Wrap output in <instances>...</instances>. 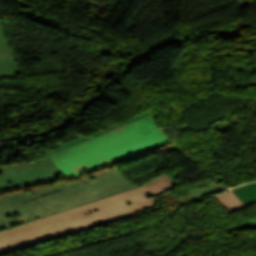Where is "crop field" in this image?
Masks as SVG:
<instances>
[{
  "mask_svg": "<svg viewBox=\"0 0 256 256\" xmlns=\"http://www.w3.org/2000/svg\"><path fill=\"white\" fill-rule=\"evenodd\" d=\"M175 184L164 174L140 187L0 231V255L148 209L158 204L150 195L171 190Z\"/></svg>",
  "mask_w": 256,
  "mask_h": 256,
  "instance_id": "1",
  "label": "crop field"
},
{
  "mask_svg": "<svg viewBox=\"0 0 256 256\" xmlns=\"http://www.w3.org/2000/svg\"><path fill=\"white\" fill-rule=\"evenodd\" d=\"M171 142L151 114L83 142L61 149L47 158L67 180L99 171Z\"/></svg>",
  "mask_w": 256,
  "mask_h": 256,
  "instance_id": "2",
  "label": "crop field"
},
{
  "mask_svg": "<svg viewBox=\"0 0 256 256\" xmlns=\"http://www.w3.org/2000/svg\"><path fill=\"white\" fill-rule=\"evenodd\" d=\"M136 187L117 167L70 183L0 196V230Z\"/></svg>",
  "mask_w": 256,
  "mask_h": 256,
  "instance_id": "3",
  "label": "crop field"
},
{
  "mask_svg": "<svg viewBox=\"0 0 256 256\" xmlns=\"http://www.w3.org/2000/svg\"><path fill=\"white\" fill-rule=\"evenodd\" d=\"M60 174L43 155L35 160L0 165V194L50 184Z\"/></svg>",
  "mask_w": 256,
  "mask_h": 256,
  "instance_id": "4",
  "label": "crop field"
},
{
  "mask_svg": "<svg viewBox=\"0 0 256 256\" xmlns=\"http://www.w3.org/2000/svg\"><path fill=\"white\" fill-rule=\"evenodd\" d=\"M20 75L15 58L13 57L7 34L0 21V76Z\"/></svg>",
  "mask_w": 256,
  "mask_h": 256,
  "instance_id": "5",
  "label": "crop field"
},
{
  "mask_svg": "<svg viewBox=\"0 0 256 256\" xmlns=\"http://www.w3.org/2000/svg\"><path fill=\"white\" fill-rule=\"evenodd\" d=\"M222 206L228 210L230 213L246 207L242 201L232 192H226L214 196Z\"/></svg>",
  "mask_w": 256,
  "mask_h": 256,
  "instance_id": "6",
  "label": "crop field"
},
{
  "mask_svg": "<svg viewBox=\"0 0 256 256\" xmlns=\"http://www.w3.org/2000/svg\"><path fill=\"white\" fill-rule=\"evenodd\" d=\"M233 192L247 206L256 203V182L240 186L238 190Z\"/></svg>",
  "mask_w": 256,
  "mask_h": 256,
  "instance_id": "7",
  "label": "crop field"
},
{
  "mask_svg": "<svg viewBox=\"0 0 256 256\" xmlns=\"http://www.w3.org/2000/svg\"><path fill=\"white\" fill-rule=\"evenodd\" d=\"M210 184L211 185L206 188H198V189H194L193 191H190V199L198 200L205 195L219 192L226 189V187L221 186L215 182H210Z\"/></svg>",
  "mask_w": 256,
  "mask_h": 256,
  "instance_id": "8",
  "label": "crop field"
},
{
  "mask_svg": "<svg viewBox=\"0 0 256 256\" xmlns=\"http://www.w3.org/2000/svg\"><path fill=\"white\" fill-rule=\"evenodd\" d=\"M149 113H151V112H150V111L144 112V113L138 115L137 117L133 118L132 120H134V119H136V118H139V117H142V116H144V115H147V114H149ZM132 120H131V121H132ZM129 122H130V121H129ZM124 124H125V123H124ZM122 125H123V124H122ZM112 128H115V127H110V129H112ZM110 129H109V130H110ZM105 131H106V130H105ZM107 131H108V130H107ZM101 133H103V132H101ZM95 135H97V134H93L92 136H95ZM85 139H87V137H85V136L80 137V138H78V139H76V140H74V141H72V142H70V143H68V144L61 145V146L58 147L57 149L55 148V150H53V151L46 152V155H48V154H50V153H53V152H55V151H57V150H59V149H61V148L68 147V146H70V145H72V144H75V143H77V142L83 141V140H85Z\"/></svg>",
  "mask_w": 256,
  "mask_h": 256,
  "instance_id": "9",
  "label": "crop field"
},
{
  "mask_svg": "<svg viewBox=\"0 0 256 256\" xmlns=\"http://www.w3.org/2000/svg\"><path fill=\"white\" fill-rule=\"evenodd\" d=\"M228 229H256V218L250 219Z\"/></svg>",
  "mask_w": 256,
  "mask_h": 256,
  "instance_id": "10",
  "label": "crop field"
},
{
  "mask_svg": "<svg viewBox=\"0 0 256 256\" xmlns=\"http://www.w3.org/2000/svg\"><path fill=\"white\" fill-rule=\"evenodd\" d=\"M17 1L21 6H30L28 3H26L24 0H15Z\"/></svg>",
  "mask_w": 256,
  "mask_h": 256,
  "instance_id": "11",
  "label": "crop field"
},
{
  "mask_svg": "<svg viewBox=\"0 0 256 256\" xmlns=\"http://www.w3.org/2000/svg\"><path fill=\"white\" fill-rule=\"evenodd\" d=\"M237 188H238V187H237ZM237 188H234V189H231V190L233 191V190H235V189H237Z\"/></svg>",
  "mask_w": 256,
  "mask_h": 256,
  "instance_id": "12",
  "label": "crop field"
}]
</instances>
